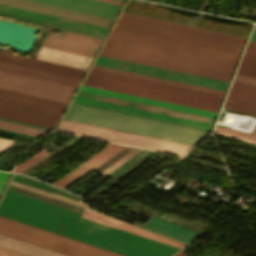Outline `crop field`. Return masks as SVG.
<instances>
[{"label": "crop field", "mask_w": 256, "mask_h": 256, "mask_svg": "<svg viewBox=\"0 0 256 256\" xmlns=\"http://www.w3.org/2000/svg\"><path fill=\"white\" fill-rule=\"evenodd\" d=\"M10 173L0 172V179L7 180Z\"/></svg>", "instance_id": "crop-field-35"}, {"label": "crop field", "mask_w": 256, "mask_h": 256, "mask_svg": "<svg viewBox=\"0 0 256 256\" xmlns=\"http://www.w3.org/2000/svg\"><path fill=\"white\" fill-rule=\"evenodd\" d=\"M244 53L256 56V42L250 41Z\"/></svg>", "instance_id": "crop-field-33"}, {"label": "crop field", "mask_w": 256, "mask_h": 256, "mask_svg": "<svg viewBox=\"0 0 256 256\" xmlns=\"http://www.w3.org/2000/svg\"><path fill=\"white\" fill-rule=\"evenodd\" d=\"M0 69L77 86L79 80L0 62Z\"/></svg>", "instance_id": "crop-field-20"}, {"label": "crop field", "mask_w": 256, "mask_h": 256, "mask_svg": "<svg viewBox=\"0 0 256 256\" xmlns=\"http://www.w3.org/2000/svg\"><path fill=\"white\" fill-rule=\"evenodd\" d=\"M62 36L67 37V38H71V39H75V40H80V41L96 44V45H99V43L101 41L100 38H95V37H91V36L76 34V33L67 32V31H64Z\"/></svg>", "instance_id": "crop-field-30"}, {"label": "crop field", "mask_w": 256, "mask_h": 256, "mask_svg": "<svg viewBox=\"0 0 256 256\" xmlns=\"http://www.w3.org/2000/svg\"><path fill=\"white\" fill-rule=\"evenodd\" d=\"M213 133L256 144V135L254 134H250V133H246V132H242V131H238V130H234V129H230V128H226L218 125L215 126Z\"/></svg>", "instance_id": "crop-field-22"}, {"label": "crop field", "mask_w": 256, "mask_h": 256, "mask_svg": "<svg viewBox=\"0 0 256 256\" xmlns=\"http://www.w3.org/2000/svg\"><path fill=\"white\" fill-rule=\"evenodd\" d=\"M81 216L91 219V220H95V221L107 224V225H110V226H113V227H116V228L123 229V230L129 231V232L141 235V236H145V237H148V238H151V239H154V240L166 243V244H170V245H173V246H176L179 248L185 246L184 244H181L179 242L170 240V239L162 237L160 235H157V234L151 233L149 231L140 229L138 227L129 225L127 223H124L119 220L110 218L108 216L99 214V213L91 211L89 209H86Z\"/></svg>", "instance_id": "crop-field-14"}, {"label": "crop field", "mask_w": 256, "mask_h": 256, "mask_svg": "<svg viewBox=\"0 0 256 256\" xmlns=\"http://www.w3.org/2000/svg\"><path fill=\"white\" fill-rule=\"evenodd\" d=\"M0 61L80 79L84 70L0 51Z\"/></svg>", "instance_id": "crop-field-12"}, {"label": "crop field", "mask_w": 256, "mask_h": 256, "mask_svg": "<svg viewBox=\"0 0 256 256\" xmlns=\"http://www.w3.org/2000/svg\"><path fill=\"white\" fill-rule=\"evenodd\" d=\"M149 150L142 149L137 154H135L133 157H131L129 160H127L124 164H122L120 167H118L116 170H114L109 175L113 178L116 177L118 174H120L122 171H124L126 168H128L130 165L135 163L137 160H139L141 157H143L145 154H147Z\"/></svg>", "instance_id": "crop-field-28"}, {"label": "crop field", "mask_w": 256, "mask_h": 256, "mask_svg": "<svg viewBox=\"0 0 256 256\" xmlns=\"http://www.w3.org/2000/svg\"><path fill=\"white\" fill-rule=\"evenodd\" d=\"M101 1H106V2L115 3V4H119V5L122 4L121 1H117V0H101Z\"/></svg>", "instance_id": "crop-field-36"}, {"label": "crop field", "mask_w": 256, "mask_h": 256, "mask_svg": "<svg viewBox=\"0 0 256 256\" xmlns=\"http://www.w3.org/2000/svg\"><path fill=\"white\" fill-rule=\"evenodd\" d=\"M46 151V150H45ZM43 149L40 150L39 152H37L36 154H34L33 156H31L29 159H27L26 161H24L23 163L19 164L14 171L15 172H22L23 170H25L26 168H28L29 166H31L32 164H34L35 162H37L38 160H40L41 158H43L44 156H46L48 153L45 152Z\"/></svg>", "instance_id": "crop-field-29"}, {"label": "crop field", "mask_w": 256, "mask_h": 256, "mask_svg": "<svg viewBox=\"0 0 256 256\" xmlns=\"http://www.w3.org/2000/svg\"><path fill=\"white\" fill-rule=\"evenodd\" d=\"M0 246L31 256H66L1 234Z\"/></svg>", "instance_id": "crop-field-18"}, {"label": "crop field", "mask_w": 256, "mask_h": 256, "mask_svg": "<svg viewBox=\"0 0 256 256\" xmlns=\"http://www.w3.org/2000/svg\"><path fill=\"white\" fill-rule=\"evenodd\" d=\"M100 55L228 81L239 54L113 28Z\"/></svg>", "instance_id": "crop-field-2"}, {"label": "crop field", "mask_w": 256, "mask_h": 256, "mask_svg": "<svg viewBox=\"0 0 256 256\" xmlns=\"http://www.w3.org/2000/svg\"><path fill=\"white\" fill-rule=\"evenodd\" d=\"M0 224L35 236H39L66 246H70L97 256H125L100 247H96L78 240H74L56 233H52L31 225H27L9 218L0 216Z\"/></svg>", "instance_id": "crop-field-10"}, {"label": "crop field", "mask_w": 256, "mask_h": 256, "mask_svg": "<svg viewBox=\"0 0 256 256\" xmlns=\"http://www.w3.org/2000/svg\"><path fill=\"white\" fill-rule=\"evenodd\" d=\"M94 64L115 68V69H120V70H126V71L156 76V77H161V78H166V79H171V80H176V81H181V82H186V83H192V84L222 89V90L225 89L228 83L226 81L121 61V60H116V59H111V58H106L101 56H98Z\"/></svg>", "instance_id": "crop-field-9"}, {"label": "crop field", "mask_w": 256, "mask_h": 256, "mask_svg": "<svg viewBox=\"0 0 256 256\" xmlns=\"http://www.w3.org/2000/svg\"><path fill=\"white\" fill-rule=\"evenodd\" d=\"M15 142L0 138V155H2Z\"/></svg>", "instance_id": "crop-field-31"}, {"label": "crop field", "mask_w": 256, "mask_h": 256, "mask_svg": "<svg viewBox=\"0 0 256 256\" xmlns=\"http://www.w3.org/2000/svg\"><path fill=\"white\" fill-rule=\"evenodd\" d=\"M0 10L105 34L107 29L0 4Z\"/></svg>", "instance_id": "crop-field-16"}, {"label": "crop field", "mask_w": 256, "mask_h": 256, "mask_svg": "<svg viewBox=\"0 0 256 256\" xmlns=\"http://www.w3.org/2000/svg\"><path fill=\"white\" fill-rule=\"evenodd\" d=\"M0 3L106 28L120 8L97 0H0Z\"/></svg>", "instance_id": "crop-field-6"}, {"label": "crop field", "mask_w": 256, "mask_h": 256, "mask_svg": "<svg viewBox=\"0 0 256 256\" xmlns=\"http://www.w3.org/2000/svg\"><path fill=\"white\" fill-rule=\"evenodd\" d=\"M4 183H5V181L0 180V191H1V189H2V187H3V185H4Z\"/></svg>", "instance_id": "crop-field-39"}, {"label": "crop field", "mask_w": 256, "mask_h": 256, "mask_svg": "<svg viewBox=\"0 0 256 256\" xmlns=\"http://www.w3.org/2000/svg\"><path fill=\"white\" fill-rule=\"evenodd\" d=\"M58 130L178 155H183L190 148L193 147L192 145L161 140L65 120L61 122Z\"/></svg>", "instance_id": "crop-field-8"}, {"label": "crop field", "mask_w": 256, "mask_h": 256, "mask_svg": "<svg viewBox=\"0 0 256 256\" xmlns=\"http://www.w3.org/2000/svg\"><path fill=\"white\" fill-rule=\"evenodd\" d=\"M121 1H123V0H121Z\"/></svg>", "instance_id": "crop-field-40"}, {"label": "crop field", "mask_w": 256, "mask_h": 256, "mask_svg": "<svg viewBox=\"0 0 256 256\" xmlns=\"http://www.w3.org/2000/svg\"><path fill=\"white\" fill-rule=\"evenodd\" d=\"M84 85L217 111L222 97L90 70Z\"/></svg>", "instance_id": "crop-field-4"}, {"label": "crop field", "mask_w": 256, "mask_h": 256, "mask_svg": "<svg viewBox=\"0 0 256 256\" xmlns=\"http://www.w3.org/2000/svg\"><path fill=\"white\" fill-rule=\"evenodd\" d=\"M124 147L126 146L109 143L104 149H102L96 155L79 165L77 168H75L62 178H60L53 185L60 187L64 190L67 189L69 186L74 184L76 181L92 171L94 168L114 156Z\"/></svg>", "instance_id": "crop-field-11"}, {"label": "crop field", "mask_w": 256, "mask_h": 256, "mask_svg": "<svg viewBox=\"0 0 256 256\" xmlns=\"http://www.w3.org/2000/svg\"><path fill=\"white\" fill-rule=\"evenodd\" d=\"M234 79L244 81V82H248V83H252V84H256V79L246 77V76H242V75H238V74L235 75Z\"/></svg>", "instance_id": "crop-field-34"}, {"label": "crop field", "mask_w": 256, "mask_h": 256, "mask_svg": "<svg viewBox=\"0 0 256 256\" xmlns=\"http://www.w3.org/2000/svg\"><path fill=\"white\" fill-rule=\"evenodd\" d=\"M252 41H256V27L254 28V31H253V34L251 36V39Z\"/></svg>", "instance_id": "crop-field-37"}, {"label": "crop field", "mask_w": 256, "mask_h": 256, "mask_svg": "<svg viewBox=\"0 0 256 256\" xmlns=\"http://www.w3.org/2000/svg\"><path fill=\"white\" fill-rule=\"evenodd\" d=\"M0 116L10 118V119L19 120V121H24V122H28V123H32V124H37V125H41V126H46V127H50V128H53V126L55 125L54 122L45 121V120L32 118V117H28V116H23V115H19V114H14V113L1 111V110H0Z\"/></svg>", "instance_id": "crop-field-24"}, {"label": "crop field", "mask_w": 256, "mask_h": 256, "mask_svg": "<svg viewBox=\"0 0 256 256\" xmlns=\"http://www.w3.org/2000/svg\"><path fill=\"white\" fill-rule=\"evenodd\" d=\"M0 215L128 256H170L179 249L8 190L0 203Z\"/></svg>", "instance_id": "crop-field-1"}, {"label": "crop field", "mask_w": 256, "mask_h": 256, "mask_svg": "<svg viewBox=\"0 0 256 256\" xmlns=\"http://www.w3.org/2000/svg\"><path fill=\"white\" fill-rule=\"evenodd\" d=\"M74 86L0 70V89L67 104ZM0 90V109L57 122L65 105Z\"/></svg>", "instance_id": "crop-field-3"}, {"label": "crop field", "mask_w": 256, "mask_h": 256, "mask_svg": "<svg viewBox=\"0 0 256 256\" xmlns=\"http://www.w3.org/2000/svg\"><path fill=\"white\" fill-rule=\"evenodd\" d=\"M174 256H184V253H183V251L181 250V251H179L177 254H175Z\"/></svg>", "instance_id": "crop-field-38"}, {"label": "crop field", "mask_w": 256, "mask_h": 256, "mask_svg": "<svg viewBox=\"0 0 256 256\" xmlns=\"http://www.w3.org/2000/svg\"><path fill=\"white\" fill-rule=\"evenodd\" d=\"M223 107L256 115V85L234 80Z\"/></svg>", "instance_id": "crop-field-13"}, {"label": "crop field", "mask_w": 256, "mask_h": 256, "mask_svg": "<svg viewBox=\"0 0 256 256\" xmlns=\"http://www.w3.org/2000/svg\"><path fill=\"white\" fill-rule=\"evenodd\" d=\"M10 184L14 185V186H17V187L27 189V190H30V191H33V192H36V193H40V194L52 197V198H55V199H59V200H62V201H65V202H68V203H71V204H74V205H78V206H81V207H84V208H86V206H87V205H85L83 203H80L78 201H75V200H72V199H69V198H66V197H63V196H59V195H56V194H53V193H50V192L32 187V186H29V185H25V184H22V183L13 181V180L11 181Z\"/></svg>", "instance_id": "crop-field-23"}, {"label": "crop field", "mask_w": 256, "mask_h": 256, "mask_svg": "<svg viewBox=\"0 0 256 256\" xmlns=\"http://www.w3.org/2000/svg\"><path fill=\"white\" fill-rule=\"evenodd\" d=\"M80 89H81V90H86V91H91V92H96V93H100V94H105V95H110V96H115V97L130 99V100H134V101H139V102H144V103H149V104L164 106V107H168V108H173V109H178V110H183V111L198 113V114L207 115V116H212V117H214L215 114H216V113H214V112H209V111H204V110H200V109H195V108L180 106V105H176V104H171V103H166V102L151 100V99H147V98H142V97L127 95V94H122V93H118V92H113V91L98 89V88L89 87V86H84V85H81Z\"/></svg>", "instance_id": "crop-field-17"}, {"label": "crop field", "mask_w": 256, "mask_h": 256, "mask_svg": "<svg viewBox=\"0 0 256 256\" xmlns=\"http://www.w3.org/2000/svg\"><path fill=\"white\" fill-rule=\"evenodd\" d=\"M241 62L256 66V57L244 54ZM236 73L256 78L254 67L240 64Z\"/></svg>", "instance_id": "crop-field-26"}, {"label": "crop field", "mask_w": 256, "mask_h": 256, "mask_svg": "<svg viewBox=\"0 0 256 256\" xmlns=\"http://www.w3.org/2000/svg\"><path fill=\"white\" fill-rule=\"evenodd\" d=\"M141 225L180 238L188 242H191V240L201 235L153 217H151L149 221Z\"/></svg>", "instance_id": "crop-field-19"}, {"label": "crop field", "mask_w": 256, "mask_h": 256, "mask_svg": "<svg viewBox=\"0 0 256 256\" xmlns=\"http://www.w3.org/2000/svg\"><path fill=\"white\" fill-rule=\"evenodd\" d=\"M116 28L240 52L246 38L121 13Z\"/></svg>", "instance_id": "crop-field-5"}, {"label": "crop field", "mask_w": 256, "mask_h": 256, "mask_svg": "<svg viewBox=\"0 0 256 256\" xmlns=\"http://www.w3.org/2000/svg\"><path fill=\"white\" fill-rule=\"evenodd\" d=\"M0 256H28V255H24V254L0 247Z\"/></svg>", "instance_id": "crop-field-32"}, {"label": "crop field", "mask_w": 256, "mask_h": 256, "mask_svg": "<svg viewBox=\"0 0 256 256\" xmlns=\"http://www.w3.org/2000/svg\"><path fill=\"white\" fill-rule=\"evenodd\" d=\"M0 128L27 134V135H32V136H36V137H39L48 132V130L34 128V127L25 126V125L16 124V123L7 122V121H2V120H0Z\"/></svg>", "instance_id": "crop-field-21"}, {"label": "crop field", "mask_w": 256, "mask_h": 256, "mask_svg": "<svg viewBox=\"0 0 256 256\" xmlns=\"http://www.w3.org/2000/svg\"><path fill=\"white\" fill-rule=\"evenodd\" d=\"M91 69L113 73L117 75H122V76H127V77H132V78H137V79H142V80H147V81H152V82H157L161 84L201 91V92L220 95V96H222L224 92L222 90H217V89H212V88H207V87H202L197 85H191V84H186V83H181V82H176V81H171V80H166V79H161V78H156V77H151V76H146V75H141V74H136L131 72H125V71H120V70H115V69H110V68H105V67H100L95 65H93Z\"/></svg>", "instance_id": "crop-field-15"}, {"label": "crop field", "mask_w": 256, "mask_h": 256, "mask_svg": "<svg viewBox=\"0 0 256 256\" xmlns=\"http://www.w3.org/2000/svg\"><path fill=\"white\" fill-rule=\"evenodd\" d=\"M74 101L207 128L210 127L214 119L212 117L95 94L81 90L78 91Z\"/></svg>", "instance_id": "crop-field-7"}, {"label": "crop field", "mask_w": 256, "mask_h": 256, "mask_svg": "<svg viewBox=\"0 0 256 256\" xmlns=\"http://www.w3.org/2000/svg\"><path fill=\"white\" fill-rule=\"evenodd\" d=\"M43 46L48 47V48L62 50V51L72 52V53H76V54L86 55V56H90V57H92L94 54L93 51L79 49V48L70 47V46H65V45L56 44V43H51V42H47V41L44 42Z\"/></svg>", "instance_id": "crop-field-27"}, {"label": "crop field", "mask_w": 256, "mask_h": 256, "mask_svg": "<svg viewBox=\"0 0 256 256\" xmlns=\"http://www.w3.org/2000/svg\"><path fill=\"white\" fill-rule=\"evenodd\" d=\"M45 40L51 41V42H56V43H61V44H65V45L75 46V47H79V48L89 49V50H93V51H95L97 48L96 45L79 42V41H75V40H71V39H67V38H62V37H58V36H54V35H50V34L47 35Z\"/></svg>", "instance_id": "crop-field-25"}]
</instances>
